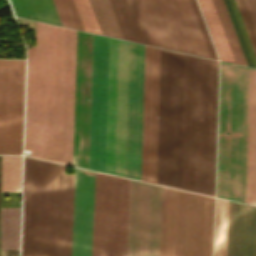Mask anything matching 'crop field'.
<instances>
[{"mask_svg": "<svg viewBox=\"0 0 256 256\" xmlns=\"http://www.w3.org/2000/svg\"><path fill=\"white\" fill-rule=\"evenodd\" d=\"M144 45L129 42L125 177L140 180Z\"/></svg>", "mask_w": 256, "mask_h": 256, "instance_id": "13", "label": "crop field"}, {"mask_svg": "<svg viewBox=\"0 0 256 256\" xmlns=\"http://www.w3.org/2000/svg\"><path fill=\"white\" fill-rule=\"evenodd\" d=\"M92 34L77 31L73 165L88 169Z\"/></svg>", "mask_w": 256, "mask_h": 256, "instance_id": "14", "label": "crop field"}, {"mask_svg": "<svg viewBox=\"0 0 256 256\" xmlns=\"http://www.w3.org/2000/svg\"><path fill=\"white\" fill-rule=\"evenodd\" d=\"M226 256H256V207L229 201Z\"/></svg>", "mask_w": 256, "mask_h": 256, "instance_id": "17", "label": "crop field"}, {"mask_svg": "<svg viewBox=\"0 0 256 256\" xmlns=\"http://www.w3.org/2000/svg\"><path fill=\"white\" fill-rule=\"evenodd\" d=\"M129 179L96 172L92 256H125Z\"/></svg>", "mask_w": 256, "mask_h": 256, "instance_id": "7", "label": "crop field"}, {"mask_svg": "<svg viewBox=\"0 0 256 256\" xmlns=\"http://www.w3.org/2000/svg\"><path fill=\"white\" fill-rule=\"evenodd\" d=\"M256 25V0H246Z\"/></svg>", "mask_w": 256, "mask_h": 256, "instance_id": "28", "label": "crop field"}, {"mask_svg": "<svg viewBox=\"0 0 256 256\" xmlns=\"http://www.w3.org/2000/svg\"><path fill=\"white\" fill-rule=\"evenodd\" d=\"M250 68L246 203L256 205V69Z\"/></svg>", "mask_w": 256, "mask_h": 256, "instance_id": "19", "label": "crop field"}, {"mask_svg": "<svg viewBox=\"0 0 256 256\" xmlns=\"http://www.w3.org/2000/svg\"><path fill=\"white\" fill-rule=\"evenodd\" d=\"M110 1L124 38L152 45L135 0Z\"/></svg>", "mask_w": 256, "mask_h": 256, "instance_id": "20", "label": "crop field"}, {"mask_svg": "<svg viewBox=\"0 0 256 256\" xmlns=\"http://www.w3.org/2000/svg\"><path fill=\"white\" fill-rule=\"evenodd\" d=\"M218 51L223 61L234 62L211 0H198Z\"/></svg>", "mask_w": 256, "mask_h": 256, "instance_id": "22", "label": "crop field"}, {"mask_svg": "<svg viewBox=\"0 0 256 256\" xmlns=\"http://www.w3.org/2000/svg\"><path fill=\"white\" fill-rule=\"evenodd\" d=\"M65 165L25 157L23 194L22 256H38L41 189L43 190L39 256H70L74 174H65Z\"/></svg>", "mask_w": 256, "mask_h": 256, "instance_id": "3", "label": "crop field"}, {"mask_svg": "<svg viewBox=\"0 0 256 256\" xmlns=\"http://www.w3.org/2000/svg\"><path fill=\"white\" fill-rule=\"evenodd\" d=\"M95 172L76 169L72 254L91 256Z\"/></svg>", "mask_w": 256, "mask_h": 256, "instance_id": "15", "label": "crop field"}, {"mask_svg": "<svg viewBox=\"0 0 256 256\" xmlns=\"http://www.w3.org/2000/svg\"><path fill=\"white\" fill-rule=\"evenodd\" d=\"M163 187L130 179L126 256H159Z\"/></svg>", "mask_w": 256, "mask_h": 256, "instance_id": "9", "label": "crop field"}, {"mask_svg": "<svg viewBox=\"0 0 256 256\" xmlns=\"http://www.w3.org/2000/svg\"><path fill=\"white\" fill-rule=\"evenodd\" d=\"M128 42L110 38L106 172L124 177Z\"/></svg>", "mask_w": 256, "mask_h": 256, "instance_id": "8", "label": "crop field"}, {"mask_svg": "<svg viewBox=\"0 0 256 256\" xmlns=\"http://www.w3.org/2000/svg\"><path fill=\"white\" fill-rule=\"evenodd\" d=\"M214 198L164 187L160 256H211Z\"/></svg>", "mask_w": 256, "mask_h": 256, "instance_id": "5", "label": "crop field"}, {"mask_svg": "<svg viewBox=\"0 0 256 256\" xmlns=\"http://www.w3.org/2000/svg\"><path fill=\"white\" fill-rule=\"evenodd\" d=\"M217 77L218 61L161 49L157 183L214 196Z\"/></svg>", "mask_w": 256, "mask_h": 256, "instance_id": "1", "label": "crop field"}, {"mask_svg": "<svg viewBox=\"0 0 256 256\" xmlns=\"http://www.w3.org/2000/svg\"><path fill=\"white\" fill-rule=\"evenodd\" d=\"M19 17L60 25L51 0H11Z\"/></svg>", "mask_w": 256, "mask_h": 256, "instance_id": "21", "label": "crop field"}, {"mask_svg": "<svg viewBox=\"0 0 256 256\" xmlns=\"http://www.w3.org/2000/svg\"><path fill=\"white\" fill-rule=\"evenodd\" d=\"M109 38L93 34L89 169L105 172Z\"/></svg>", "mask_w": 256, "mask_h": 256, "instance_id": "10", "label": "crop field"}, {"mask_svg": "<svg viewBox=\"0 0 256 256\" xmlns=\"http://www.w3.org/2000/svg\"><path fill=\"white\" fill-rule=\"evenodd\" d=\"M249 68L221 62L217 196L245 203ZM226 133H229L228 136Z\"/></svg>", "mask_w": 256, "mask_h": 256, "instance_id": "4", "label": "crop field"}, {"mask_svg": "<svg viewBox=\"0 0 256 256\" xmlns=\"http://www.w3.org/2000/svg\"><path fill=\"white\" fill-rule=\"evenodd\" d=\"M228 201L217 198L214 256H225Z\"/></svg>", "mask_w": 256, "mask_h": 256, "instance_id": "24", "label": "crop field"}, {"mask_svg": "<svg viewBox=\"0 0 256 256\" xmlns=\"http://www.w3.org/2000/svg\"><path fill=\"white\" fill-rule=\"evenodd\" d=\"M256 55V28L245 0H235Z\"/></svg>", "mask_w": 256, "mask_h": 256, "instance_id": "26", "label": "crop field"}, {"mask_svg": "<svg viewBox=\"0 0 256 256\" xmlns=\"http://www.w3.org/2000/svg\"><path fill=\"white\" fill-rule=\"evenodd\" d=\"M74 3L85 31L124 39L109 0H89L101 33L88 0H74Z\"/></svg>", "mask_w": 256, "mask_h": 256, "instance_id": "18", "label": "crop field"}, {"mask_svg": "<svg viewBox=\"0 0 256 256\" xmlns=\"http://www.w3.org/2000/svg\"><path fill=\"white\" fill-rule=\"evenodd\" d=\"M53 3L62 26L84 31L72 0H53Z\"/></svg>", "mask_w": 256, "mask_h": 256, "instance_id": "25", "label": "crop field"}, {"mask_svg": "<svg viewBox=\"0 0 256 256\" xmlns=\"http://www.w3.org/2000/svg\"><path fill=\"white\" fill-rule=\"evenodd\" d=\"M23 76L24 61L0 60V153L21 154Z\"/></svg>", "mask_w": 256, "mask_h": 256, "instance_id": "11", "label": "crop field"}, {"mask_svg": "<svg viewBox=\"0 0 256 256\" xmlns=\"http://www.w3.org/2000/svg\"><path fill=\"white\" fill-rule=\"evenodd\" d=\"M152 44L209 57L188 0H136Z\"/></svg>", "mask_w": 256, "mask_h": 256, "instance_id": "6", "label": "crop field"}, {"mask_svg": "<svg viewBox=\"0 0 256 256\" xmlns=\"http://www.w3.org/2000/svg\"><path fill=\"white\" fill-rule=\"evenodd\" d=\"M160 49L145 45L141 180L156 183Z\"/></svg>", "mask_w": 256, "mask_h": 256, "instance_id": "12", "label": "crop field"}, {"mask_svg": "<svg viewBox=\"0 0 256 256\" xmlns=\"http://www.w3.org/2000/svg\"><path fill=\"white\" fill-rule=\"evenodd\" d=\"M76 31L36 22L27 49L25 149L72 165Z\"/></svg>", "mask_w": 256, "mask_h": 256, "instance_id": "2", "label": "crop field"}, {"mask_svg": "<svg viewBox=\"0 0 256 256\" xmlns=\"http://www.w3.org/2000/svg\"><path fill=\"white\" fill-rule=\"evenodd\" d=\"M21 156L2 155L1 192H20ZM20 207L1 208V248H18ZM1 256H18V249H1Z\"/></svg>", "mask_w": 256, "mask_h": 256, "instance_id": "16", "label": "crop field"}, {"mask_svg": "<svg viewBox=\"0 0 256 256\" xmlns=\"http://www.w3.org/2000/svg\"><path fill=\"white\" fill-rule=\"evenodd\" d=\"M212 1L215 6L216 12L218 14L219 20L221 22L222 28L224 30L225 36L227 38V41L230 46L235 62L238 64L248 66L245 60L244 54L242 52L241 46L239 44L238 38L236 36L235 30L233 28L232 22L230 20L229 14L227 12L224 1L223 0H212Z\"/></svg>", "mask_w": 256, "mask_h": 256, "instance_id": "23", "label": "crop field"}, {"mask_svg": "<svg viewBox=\"0 0 256 256\" xmlns=\"http://www.w3.org/2000/svg\"><path fill=\"white\" fill-rule=\"evenodd\" d=\"M191 7L193 9L194 15L196 17L197 23L199 25L200 31L202 33L203 39L205 41L206 47L208 49L209 55L212 59H216V56L214 54L213 48L211 46L210 40L208 38L207 32L205 30L204 24L202 22L201 16L199 14L198 8L196 6L195 0H189ZM217 60V59H216Z\"/></svg>", "mask_w": 256, "mask_h": 256, "instance_id": "27", "label": "crop field"}]
</instances>
